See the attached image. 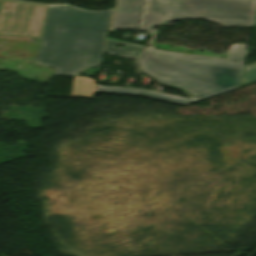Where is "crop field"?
<instances>
[{"mask_svg":"<svg viewBox=\"0 0 256 256\" xmlns=\"http://www.w3.org/2000/svg\"><path fill=\"white\" fill-rule=\"evenodd\" d=\"M112 11L0 0V35L41 39L36 64L76 75L99 65Z\"/></svg>","mask_w":256,"mask_h":256,"instance_id":"obj_1","label":"crop field"},{"mask_svg":"<svg viewBox=\"0 0 256 256\" xmlns=\"http://www.w3.org/2000/svg\"><path fill=\"white\" fill-rule=\"evenodd\" d=\"M248 45H234L228 59L188 55L148 47L137 59L140 70L161 84L179 87L190 99L162 93L97 85L96 91L142 95L187 104L238 88Z\"/></svg>","mask_w":256,"mask_h":256,"instance_id":"obj_2","label":"crop field"},{"mask_svg":"<svg viewBox=\"0 0 256 256\" xmlns=\"http://www.w3.org/2000/svg\"><path fill=\"white\" fill-rule=\"evenodd\" d=\"M256 0H147L142 30L164 20L206 19L224 26H251Z\"/></svg>","mask_w":256,"mask_h":256,"instance_id":"obj_3","label":"crop field"},{"mask_svg":"<svg viewBox=\"0 0 256 256\" xmlns=\"http://www.w3.org/2000/svg\"><path fill=\"white\" fill-rule=\"evenodd\" d=\"M143 0H119L111 32L116 29H137Z\"/></svg>","mask_w":256,"mask_h":256,"instance_id":"obj_4","label":"crop field"},{"mask_svg":"<svg viewBox=\"0 0 256 256\" xmlns=\"http://www.w3.org/2000/svg\"><path fill=\"white\" fill-rule=\"evenodd\" d=\"M116 44H124L125 47L118 49L114 47ZM144 48V46L108 39L105 53L134 59Z\"/></svg>","mask_w":256,"mask_h":256,"instance_id":"obj_5","label":"crop field"},{"mask_svg":"<svg viewBox=\"0 0 256 256\" xmlns=\"http://www.w3.org/2000/svg\"><path fill=\"white\" fill-rule=\"evenodd\" d=\"M253 25H256V14ZM254 82H256V63L244 67L240 87Z\"/></svg>","mask_w":256,"mask_h":256,"instance_id":"obj_6","label":"crop field"}]
</instances>
